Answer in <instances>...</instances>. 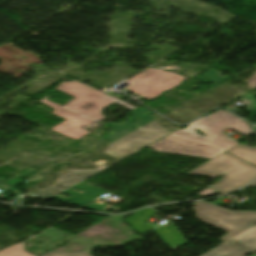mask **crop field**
<instances>
[{
    "label": "crop field",
    "instance_id": "crop-field-21",
    "mask_svg": "<svg viewBox=\"0 0 256 256\" xmlns=\"http://www.w3.org/2000/svg\"><path fill=\"white\" fill-rule=\"evenodd\" d=\"M252 187L256 186V181L254 183L251 184Z\"/></svg>",
    "mask_w": 256,
    "mask_h": 256
},
{
    "label": "crop field",
    "instance_id": "crop-field-2",
    "mask_svg": "<svg viewBox=\"0 0 256 256\" xmlns=\"http://www.w3.org/2000/svg\"><path fill=\"white\" fill-rule=\"evenodd\" d=\"M57 89L76 99L74 98L75 100L63 107L45 98L40 102L54 108L52 114L66 120L52 130L75 140L89 134L82 130V127L105 118V115L100 113L103 108L117 102L131 110L135 109L76 80L69 83L64 82Z\"/></svg>",
    "mask_w": 256,
    "mask_h": 256
},
{
    "label": "crop field",
    "instance_id": "crop-field-8",
    "mask_svg": "<svg viewBox=\"0 0 256 256\" xmlns=\"http://www.w3.org/2000/svg\"><path fill=\"white\" fill-rule=\"evenodd\" d=\"M154 231L157 232L163 241L174 250L188 243L173 224L169 225L168 227L162 226Z\"/></svg>",
    "mask_w": 256,
    "mask_h": 256
},
{
    "label": "crop field",
    "instance_id": "crop-field-1",
    "mask_svg": "<svg viewBox=\"0 0 256 256\" xmlns=\"http://www.w3.org/2000/svg\"><path fill=\"white\" fill-rule=\"evenodd\" d=\"M196 128L202 131L206 137L199 136L194 131ZM229 128L244 136L254 132L245 121L227 111L218 110L208 117L198 119L188 125L186 129L180 130L172 134V136L218 147L223 150L171 138L169 136L148 147L163 153L212 159L239 143L229 139L226 134L222 133Z\"/></svg>",
    "mask_w": 256,
    "mask_h": 256
},
{
    "label": "crop field",
    "instance_id": "crop-field-13",
    "mask_svg": "<svg viewBox=\"0 0 256 256\" xmlns=\"http://www.w3.org/2000/svg\"><path fill=\"white\" fill-rule=\"evenodd\" d=\"M96 172L98 171H70L59 178L61 179L63 185L68 188Z\"/></svg>",
    "mask_w": 256,
    "mask_h": 256
},
{
    "label": "crop field",
    "instance_id": "crop-field-14",
    "mask_svg": "<svg viewBox=\"0 0 256 256\" xmlns=\"http://www.w3.org/2000/svg\"><path fill=\"white\" fill-rule=\"evenodd\" d=\"M23 242L19 245H12L2 251H0V256H33L25 251H23Z\"/></svg>",
    "mask_w": 256,
    "mask_h": 256
},
{
    "label": "crop field",
    "instance_id": "crop-field-20",
    "mask_svg": "<svg viewBox=\"0 0 256 256\" xmlns=\"http://www.w3.org/2000/svg\"><path fill=\"white\" fill-rule=\"evenodd\" d=\"M36 194L40 195L42 198H48V197L52 196L51 194L43 192V191H37Z\"/></svg>",
    "mask_w": 256,
    "mask_h": 256
},
{
    "label": "crop field",
    "instance_id": "crop-field-3",
    "mask_svg": "<svg viewBox=\"0 0 256 256\" xmlns=\"http://www.w3.org/2000/svg\"><path fill=\"white\" fill-rule=\"evenodd\" d=\"M189 174H202L212 178L224 176L211 188L227 194L255 179L256 167L224 153L192 170Z\"/></svg>",
    "mask_w": 256,
    "mask_h": 256
},
{
    "label": "crop field",
    "instance_id": "crop-field-17",
    "mask_svg": "<svg viewBox=\"0 0 256 256\" xmlns=\"http://www.w3.org/2000/svg\"><path fill=\"white\" fill-rule=\"evenodd\" d=\"M64 189H66V187L62 186V184H61V182H60V180L58 178V181H57L56 184L52 185L49 188L43 189V191L49 192V193L54 195V194H56V193H58V192H60V191H62Z\"/></svg>",
    "mask_w": 256,
    "mask_h": 256
},
{
    "label": "crop field",
    "instance_id": "crop-field-15",
    "mask_svg": "<svg viewBox=\"0 0 256 256\" xmlns=\"http://www.w3.org/2000/svg\"><path fill=\"white\" fill-rule=\"evenodd\" d=\"M41 237H47V238H51L53 242L61 239L64 237V235L62 234L61 231L56 230V229H49L48 231H46L45 233L40 235Z\"/></svg>",
    "mask_w": 256,
    "mask_h": 256
},
{
    "label": "crop field",
    "instance_id": "crop-field-12",
    "mask_svg": "<svg viewBox=\"0 0 256 256\" xmlns=\"http://www.w3.org/2000/svg\"><path fill=\"white\" fill-rule=\"evenodd\" d=\"M249 253L250 252L223 243L210 252L204 253L205 255L203 256H245Z\"/></svg>",
    "mask_w": 256,
    "mask_h": 256
},
{
    "label": "crop field",
    "instance_id": "crop-field-16",
    "mask_svg": "<svg viewBox=\"0 0 256 256\" xmlns=\"http://www.w3.org/2000/svg\"><path fill=\"white\" fill-rule=\"evenodd\" d=\"M43 256H91V253L87 251L80 252V253L51 251Z\"/></svg>",
    "mask_w": 256,
    "mask_h": 256
},
{
    "label": "crop field",
    "instance_id": "crop-field-19",
    "mask_svg": "<svg viewBox=\"0 0 256 256\" xmlns=\"http://www.w3.org/2000/svg\"><path fill=\"white\" fill-rule=\"evenodd\" d=\"M248 83H249L250 88H252V89L255 88L256 87V75L249 78Z\"/></svg>",
    "mask_w": 256,
    "mask_h": 256
},
{
    "label": "crop field",
    "instance_id": "crop-field-9",
    "mask_svg": "<svg viewBox=\"0 0 256 256\" xmlns=\"http://www.w3.org/2000/svg\"><path fill=\"white\" fill-rule=\"evenodd\" d=\"M156 212L157 211L151 208L142 209L130 216L129 218L125 219V221L142 235L146 231L155 228L153 226L145 224V222L148 218H150V216H152Z\"/></svg>",
    "mask_w": 256,
    "mask_h": 256
},
{
    "label": "crop field",
    "instance_id": "crop-field-6",
    "mask_svg": "<svg viewBox=\"0 0 256 256\" xmlns=\"http://www.w3.org/2000/svg\"><path fill=\"white\" fill-rule=\"evenodd\" d=\"M169 134L155 120L111 144L105 152L120 159Z\"/></svg>",
    "mask_w": 256,
    "mask_h": 256
},
{
    "label": "crop field",
    "instance_id": "crop-field-10",
    "mask_svg": "<svg viewBox=\"0 0 256 256\" xmlns=\"http://www.w3.org/2000/svg\"><path fill=\"white\" fill-rule=\"evenodd\" d=\"M227 243L254 251L256 249V225L232 237Z\"/></svg>",
    "mask_w": 256,
    "mask_h": 256
},
{
    "label": "crop field",
    "instance_id": "crop-field-22",
    "mask_svg": "<svg viewBox=\"0 0 256 256\" xmlns=\"http://www.w3.org/2000/svg\"><path fill=\"white\" fill-rule=\"evenodd\" d=\"M172 137V136H171ZM176 138V137H175ZM180 139V138H179ZM184 140V139H183ZM188 141V140H187ZM192 142V141H191Z\"/></svg>",
    "mask_w": 256,
    "mask_h": 256
},
{
    "label": "crop field",
    "instance_id": "crop-field-11",
    "mask_svg": "<svg viewBox=\"0 0 256 256\" xmlns=\"http://www.w3.org/2000/svg\"><path fill=\"white\" fill-rule=\"evenodd\" d=\"M226 152L256 165V148L238 144Z\"/></svg>",
    "mask_w": 256,
    "mask_h": 256
},
{
    "label": "crop field",
    "instance_id": "crop-field-7",
    "mask_svg": "<svg viewBox=\"0 0 256 256\" xmlns=\"http://www.w3.org/2000/svg\"><path fill=\"white\" fill-rule=\"evenodd\" d=\"M74 187H77L83 191H85L86 193L84 194H80L78 192H75L73 190H71L72 188ZM66 191H64L63 193H66L68 195H70L71 197H73L72 199H69V200H65V199H62V198H59L57 196H55L53 199H57V200H61V201H73V203L77 206H85L86 204L92 202L93 199L107 193L106 191L104 190H100V189H97L91 185H88L84 182L74 186Z\"/></svg>",
    "mask_w": 256,
    "mask_h": 256
},
{
    "label": "crop field",
    "instance_id": "crop-field-18",
    "mask_svg": "<svg viewBox=\"0 0 256 256\" xmlns=\"http://www.w3.org/2000/svg\"><path fill=\"white\" fill-rule=\"evenodd\" d=\"M106 206H107V204H105V203L97 202L96 205L91 204V205H89V206H87L85 208H88V209H91V210L99 212L101 210H104L106 208ZM92 208H95V209H92Z\"/></svg>",
    "mask_w": 256,
    "mask_h": 256
},
{
    "label": "crop field",
    "instance_id": "crop-field-4",
    "mask_svg": "<svg viewBox=\"0 0 256 256\" xmlns=\"http://www.w3.org/2000/svg\"><path fill=\"white\" fill-rule=\"evenodd\" d=\"M194 207L197 213L196 218L229 232L219 239L223 242L256 222V212L229 211L203 201L196 203Z\"/></svg>",
    "mask_w": 256,
    "mask_h": 256
},
{
    "label": "crop field",
    "instance_id": "crop-field-5",
    "mask_svg": "<svg viewBox=\"0 0 256 256\" xmlns=\"http://www.w3.org/2000/svg\"><path fill=\"white\" fill-rule=\"evenodd\" d=\"M185 77L163 71L157 68H149L138 75L128 79L132 85L126 89L151 100L161 92L179 85Z\"/></svg>",
    "mask_w": 256,
    "mask_h": 256
}]
</instances>
